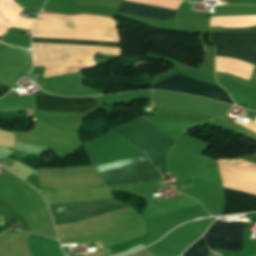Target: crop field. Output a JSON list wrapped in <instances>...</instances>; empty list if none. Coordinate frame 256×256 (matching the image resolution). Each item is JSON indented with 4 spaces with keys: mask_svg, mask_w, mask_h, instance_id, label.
Here are the masks:
<instances>
[{
    "mask_svg": "<svg viewBox=\"0 0 256 256\" xmlns=\"http://www.w3.org/2000/svg\"><path fill=\"white\" fill-rule=\"evenodd\" d=\"M14 146L13 133L0 130V148L10 149Z\"/></svg>",
    "mask_w": 256,
    "mask_h": 256,
    "instance_id": "13",
    "label": "crop field"
},
{
    "mask_svg": "<svg viewBox=\"0 0 256 256\" xmlns=\"http://www.w3.org/2000/svg\"><path fill=\"white\" fill-rule=\"evenodd\" d=\"M216 59L256 60V35L210 37Z\"/></svg>",
    "mask_w": 256,
    "mask_h": 256,
    "instance_id": "6",
    "label": "crop field"
},
{
    "mask_svg": "<svg viewBox=\"0 0 256 256\" xmlns=\"http://www.w3.org/2000/svg\"><path fill=\"white\" fill-rule=\"evenodd\" d=\"M119 204H123L120 201L117 200H95V201H91L89 203H85L82 204L74 209L71 210H67V211H63V212H59V213H55V220H60V219H66V218H71V217H75L78 215H82L85 213H89L92 211H96L99 209H103V208H107V207H111V206H115V205H119ZM128 208H132L131 204H123V205H119V206H115V207H111V208H107V209H103V210H99L96 212H92L89 214H85L82 216H78L75 218H71V219H67V220H61V221H55L56 222V227L58 226H64L66 224L69 223H73V222H77L80 220H84L87 218H91V217H95V216H99L108 212H112V211H117V210H123V209H128ZM62 238V237H60ZM96 244V246L101 249L102 246L99 243V241H95L94 242Z\"/></svg>",
    "mask_w": 256,
    "mask_h": 256,
    "instance_id": "7",
    "label": "crop field"
},
{
    "mask_svg": "<svg viewBox=\"0 0 256 256\" xmlns=\"http://www.w3.org/2000/svg\"><path fill=\"white\" fill-rule=\"evenodd\" d=\"M29 250L32 256H64L58 241L45 238L46 249L44 245V238L36 235H31L29 241Z\"/></svg>",
    "mask_w": 256,
    "mask_h": 256,
    "instance_id": "11",
    "label": "crop field"
},
{
    "mask_svg": "<svg viewBox=\"0 0 256 256\" xmlns=\"http://www.w3.org/2000/svg\"><path fill=\"white\" fill-rule=\"evenodd\" d=\"M162 183H164V182H161V183H158V184H162Z\"/></svg>",
    "mask_w": 256,
    "mask_h": 256,
    "instance_id": "16",
    "label": "crop field"
},
{
    "mask_svg": "<svg viewBox=\"0 0 256 256\" xmlns=\"http://www.w3.org/2000/svg\"><path fill=\"white\" fill-rule=\"evenodd\" d=\"M224 190L225 207L221 215L256 210V197Z\"/></svg>",
    "mask_w": 256,
    "mask_h": 256,
    "instance_id": "9",
    "label": "crop field"
},
{
    "mask_svg": "<svg viewBox=\"0 0 256 256\" xmlns=\"http://www.w3.org/2000/svg\"><path fill=\"white\" fill-rule=\"evenodd\" d=\"M12 167L32 176L31 180L55 192H76L106 187L92 166L37 171L22 163H15Z\"/></svg>",
    "mask_w": 256,
    "mask_h": 256,
    "instance_id": "1",
    "label": "crop field"
},
{
    "mask_svg": "<svg viewBox=\"0 0 256 256\" xmlns=\"http://www.w3.org/2000/svg\"><path fill=\"white\" fill-rule=\"evenodd\" d=\"M37 109L85 111L95 108L93 98H61L36 95Z\"/></svg>",
    "mask_w": 256,
    "mask_h": 256,
    "instance_id": "8",
    "label": "crop field"
},
{
    "mask_svg": "<svg viewBox=\"0 0 256 256\" xmlns=\"http://www.w3.org/2000/svg\"><path fill=\"white\" fill-rule=\"evenodd\" d=\"M114 131L142 149L162 173L165 171L162 157L175 144L173 140L140 117Z\"/></svg>",
    "mask_w": 256,
    "mask_h": 256,
    "instance_id": "3",
    "label": "crop field"
},
{
    "mask_svg": "<svg viewBox=\"0 0 256 256\" xmlns=\"http://www.w3.org/2000/svg\"><path fill=\"white\" fill-rule=\"evenodd\" d=\"M108 187L162 178L145 154L94 167Z\"/></svg>",
    "mask_w": 256,
    "mask_h": 256,
    "instance_id": "2",
    "label": "crop field"
},
{
    "mask_svg": "<svg viewBox=\"0 0 256 256\" xmlns=\"http://www.w3.org/2000/svg\"><path fill=\"white\" fill-rule=\"evenodd\" d=\"M0 208L5 212L0 214V218H12L11 214L4 207L0 206Z\"/></svg>",
    "mask_w": 256,
    "mask_h": 256,
    "instance_id": "14",
    "label": "crop field"
},
{
    "mask_svg": "<svg viewBox=\"0 0 256 256\" xmlns=\"http://www.w3.org/2000/svg\"><path fill=\"white\" fill-rule=\"evenodd\" d=\"M10 89L6 86H0V97L6 94Z\"/></svg>",
    "mask_w": 256,
    "mask_h": 256,
    "instance_id": "15",
    "label": "crop field"
},
{
    "mask_svg": "<svg viewBox=\"0 0 256 256\" xmlns=\"http://www.w3.org/2000/svg\"><path fill=\"white\" fill-rule=\"evenodd\" d=\"M151 89L203 96L216 101L235 105L225 90L179 73L159 82L152 86Z\"/></svg>",
    "mask_w": 256,
    "mask_h": 256,
    "instance_id": "5",
    "label": "crop field"
},
{
    "mask_svg": "<svg viewBox=\"0 0 256 256\" xmlns=\"http://www.w3.org/2000/svg\"><path fill=\"white\" fill-rule=\"evenodd\" d=\"M244 223L216 220L205 235L181 256H207L213 248L242 251Z\"/></svg>",
    "mask_w": 256,
    "mask_h": 256,
    "instance_id": "4",
    "label": "crop field"
},
{
    "mask_svg": "<svg viewBox=\"0 0 256 256\" xmlns=\"http://www.w3.org/2000/svg\"><path fill=\"white\" fill-rule=\"evenodd\" d=\"M32 40L121 45L119 42H109V41H89V40L50 39V38H33Z\"/></svg>",
    "mask_w": 256,
    "mask_h": 256,
    "instance_id": "12",
    "label": "crop field"
},
{
    "mask_svg": "<svg viewBox=\"0 0 256 256\" xmlns=\"http://www.w3.org/2000/svg\"><path fill=\"white\" fill-rule=\"evenodd\" d=\"M118 11L140 15V16L164 19V20H168V17L174 18V14H175V11L173 10H167V9L146 6V5L136 4V3H130L125 1H122Z\"/></svg>",
    "mask_w": 256,
    "mask_h": 256,
    "instance_id": "10",
    "label": "crop field"
}]
</instances>
